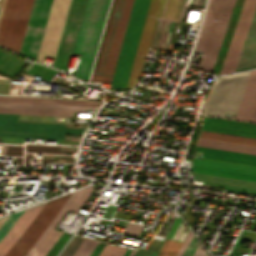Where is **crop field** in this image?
<instances>
[{"instance_id":"crop-field-1","label":"crop field","mask_w":256,"mask_h":256,"mask_svg":"<svg viewBox=\"0 0 256 256\" xmlns=\"http://www.w3.org/2000/svg\"><path fill=\"white\" fill-rule=\"evenodd\" d=\"M179 4L180 0H150L126 88L137 83L149 48L167 50L170 39H163L165 29L169 16L177 15Z\"/></svg>"},{"instance_id":"crop-field-2","label":"crop field","mask_w":256,"mask_h":256,"mask_svg":"<svg viewBox=\"0 0 256 256\" xmlns=\"http://www.w3.org/2000/svg\"><path fill=\"white\" fill-rule=\"evenodd\" d=\"M109 0H88L73 53L82 54L77 76L88 78Z\"/></svg>"},{"instance_id":"crop-field-3","label":"crop field","mask_w":256,"mask_h":256,"mask_svg":"<svg viewBox=\"0 0 256 256\" xmlns=\"http://www.w3.org/2000/svg\"><path fill=\"white\" fill-rule=\"evenodd\" d=\"M248 73L249 71L217 77L210 87L202 113H214L221 117L229 114L234 119Z\"/></svg>"},{"instance_id":"crop-field-4","label":"crop field","mask_w":256,"mask_h":256,"mask_svg":"<svg viewBox=\"0 0 256 256\" xmlns=\"http://www.w3.org/2000/svg\"><path fill=\"white\" fill-rule=\"evenodd\" d=\"M134 0H115L95 73L113 76Z\"/></svg>"},{"instance_id":"crop-field-5","label":"crop field","mask_w":256,"mask_h":256,"mask_svg":"<svg viewBox=\"0 0 256 256\" xmlns=\"http://www.w3.org/2000/svg\"><path fill=\"white\" fill-rule=\"evenodd\" d=\"M149 0H135L111 86L125 88Z\"/></svg>"},{"instance_id":"crop-field-6","label":"crop field","mask_w":256,"mask_h":256,"mask_svg":"<svg viewBox=\"0 0 256 256\" xmlns=\"http://www.w3.org/2000/svg\"><path fill=\"white\" fill-rule=\"evenodd\" d=\"M33 0H7L0 24V45L19 52Z\"/></svg>"},{"instance_id":"crop-field-7","label":"crop field","mask_w":256,"mask_h":256,"mask_svg":"<svg viewBox=\"0 0 256 256\" xmlns=\"http://www.w3.org/2000/svg\"><path fill=\"white\" fill-rule=\"evenodd\" d=\"M17 118L18 115L0 114V136L63 140L64 134H80L83 130L57 124L17 122Z\"/></svg>"},{"instance_id":"crop-field-8","label":"crop field","mask_w":256,"mask_h":256,"mask_svg":"<svg viewBox=\"0 0 256 256\" xmlns=\"http://www.w3.org/2000/svg\"><path fill=\"white\" fill-rule=\"evenodd\" d=\"M69 195L70 194L48 201L20 239L5 256H24L63 206Z\"/></svg>"},{"instance_id":"crop-field-9","label":"crop field","mask_w":256,"mask_h":256,"mask_svg":"<svg viewBox=\"0 0 256 256\" xmlns=\"http://www.w3.org/2000/svg\"><path fill=\"white\" fill-rule=\"evenodd\" d=\"M235 1L221 0L199 68L212 71Z\"/></svg>"},{"instance_id":"crop-field-10","label":"crop field","mask_w":256,"mask_h":256,"mask_svg":"<svg viewBox=\"0 0 256 256\" xmlns=\"http://www.w3.org/2000/svg\"><path fill=\"white\" fill-rule=\"evenodd\" d=\"M52 0H34L20 54L36 58Z\"/></svg>"},{"instance_id":"crop-field-11","label":"crop field","mask_w":256,"mask_h":256,"mask_svg":"<svg viewBox=\"0 0 256 256\" xmlns=\"http://www.w3.org/2000/svg\"><path fill=\"white\" fill-rule=\"evenodd\" d=\"M85 1L86 0L71 1L66 23L54 61V67H58L67 71Z\"/></svg>"},{"instance_id":"crop-field-12","label":"crop field","mask_w":256,"mask_h":256,"mask_svg":"<svg viewBox=\"0 0 256 256\" xmlns=\"http://www.w3.org/2000/svg\"><path fill=\"white\" fill-rule=\"evenodd\" d=\"M69 2L53 0L36 60L43 62L45 55H55Z\"/></svg>"},{"instance_id":"crop-field-13","label":"crop field","mask_w":256,"mask_h":256,"mask_svg":"<svg viewBox=\"0 0 256 256\" xmlns=\"http://www.w3.org/2000/svg\"><path fill=\"white\" fill-rule=\"evenodd\" d=\"M255 6H256V0L244 1L233 37H232L223 67H222L221 74L233 72L246 32L249 27Z\"/></svg>"},{"instance_id":"crop-field-14","label":"crop field","mask_w":256,"mask_h":256,"mask_svg":"<svg viewBox=\"0 0 256 256\" xmlns=\"http://www.w3.org/2000/svg\"><path fill=\"white\" fill-rule=\"evenodd\" d=\"M86 106L26 104L0 102V113L72 116L73 111H85Z\"/></svg>"},{"instance_id":"crop-field-15","label":"crop field","mask_w":256,"mask_h":256,"mask_svg":"<svg viewBox=\"0 0 256 256\" xmlns=\"http://www.w3.org/2000/svg\"><path fill=\"white\" fill-rule=\"evenodd\" d=\"M93 186L84 188L82 190H79L74 197V199L70 202V204L67 206L65 212L66 213L68 209L78 212L84 202L87 200ZM63 215L59 218V220L53 225V227L48 231L46 236L43 238L41 243L38 245V247L34 250V252L30 256H45L47 252L50 250V248L54 245V243L57 241L59 236L62 234V232H58L53 230L54 227L57 225V223L60 221V219L63 217Z\"/></svg>"},{"instance_id":"crop-field-16","label":"crop field","mask_w":256,"mask_h":256,"mask_svg":"<svg viewBox=\"0 0 256 256\" xmlns=\"http://www.w3.org/2000/svg\"><path fill=\"white\" fill-rule=\"evenodd\" d=\"M44 204L34 206L25 210V212L21 215L15 225L10 229V231L0 242V256H4L9 251V249L14 245V243L18 240V238L21 236L27 226L37 215V213L42 209Z\"/></svg>"},{"instance_id":"crop-field-17","label":"crop field","mask_w":256,"mask_h":256,"mask_svg":"<svg viewBox=\"0 0 256 256\" xmlns=\"http://www.w3.org/2000/svg\"><path fill=\"white\" fill-rule=\"evenodd\" d=\"M189 231L181 218H175L156 256H176Z\"/></svg>"},{"instance_id":"crop-field-18","label":"crop field","mask_w":256,"mask_h":256,"mask_svg":"<svg viewBox=\"0 0 256 256\" xmlns=\"http://www.w3.org/2000/svg\"><path fill=\"white\" fill-rule=\"evenodd\" d=\"M235 119L256 122V70L250 73Z\"/></svg>"},{"instance_id":"crop-field-19","label":"crop field","mask_w":256,"mask_h":256,"mask_svg":"<svg viewBox=\"0 0 256 256\" xmlns=\"http://www.w3.org/2000/svg\"><path fill=\"white\" fill-rule=\"evenodd\" d=\"M256 67V9L234 71Z\"/></svg>"},{"instance_id":"crop-field-20","label":"crop field","mask_w":256,"mask_h":256,"mask_svg":"<svg viewBox=\"0 0 256 256\" xmlns=\"http://www.w3.org/2000/svg\"><path fill=\"white\" fill-rule=\"evenodd\" d=\"M205 129L256 136V124L226 120L205 116L203 127Z\"/></svg>"},{"instance_id":"crop-field-21","label":"crop field","mask_w":256,"mask_h":256,"mask_svg":"<svg viewBox=\"0 0 256 256\" xmlns=\"http://www.w3.org/2000/svg\"><path fill=\"white\" fill-rule=\"evenodd\" d=\"M195 150L206 152L205 158L227 163L256 167V156L196 146Z\"/></svg>"},{"instance_id":"crop-field-22","label":"crop field","mask_w":256,"mask_h":256,"mask_svg":"<svg viewBox=\"0 0 256 256\" xmlns=\"http://www.w3.org/2000/svg\"><path fill=\"white\" fill-rule=\"evenodd\" d=\"M194 176V183L226 187L228 190L241 191L246 193L256 194V183L239 181L233 179H226L214 176H207L192 173Z\"/></svg>"},{"instance_id":"crop-field-23","label":"crop field","mask_w":256,"mask_h":256,"mask_svg":"<svg viewBox=\"0 0 256 256\" xmlns=\"http://www.w3.org/2000/svg\"><path fill=\"white\" fill-rule=\"evenodd\" d=\"M243 1L244 0H237L236 1L234 10L232 12V15H231V18H230V21H229V24H228V27H227L222 45H221V48L219 50V53H218V56H217V59H216V62H215V65H214V68H213L212 72L220 73V70H221V67H222V64H223V61H224V58H225V55H226L231 37H232V34H233V31H234V28H235V25H236V22H237V19H238V16H239L242 4H243Z\"/></svg>"},{"instance_id":"crop-field-24","label":"crop field","mask_w":256,"mask_h":256,"mask_svg":"<svg viewBox=\"0 0 256 256\" xmlns=\"http://www.w3.org/2000/svg\"><path fill=\"white\" fill-rule=\"evenodd\" d=\"M0 101L6 102H26V103H46V104H66V105H86L97 106V101H79V100H60V99H41V98H22V97H3Z\"/></svg>"},{"instance_id":"crop-field-25","label":"crop field","mask_w":256,"mask_h":256,"mask_svg":"<svg viewBox=\"0 0 256 256\" xmlns=\"http://www.w3.org/2000/svg\"><path fill=\"white\" fill-rule=\"evenodd\" d=\"M196 145L256 155V147L199 138Z\"/></svg>"},{"instance_id":"crop-field-26","label":"crop field","mask_w":256,"mask_h":256,"mask_svg":"<svg viewBox=\"0 0 256 256\" xmlns=\"http://www.w3.org/2000/svg\"><path fill=\"white\" fill-rule=\"evenodd\" d=\"M192 165L256 175V168L193 158Z\"/></svg>"},{"instance_id":"crop-field-27","label":"crop field","mask_w":256,"mask_h":256,"mask_svg":"<svg viewBox=\"0 0 256 256\" xmlns=\"http://www.w3.org/2000/svg\"><path fill=\"white\" fill-rule=\"evenodd\" d=\"M219 1L220 0H209L203 27H202L201 33L199 35L197 45L195 47L196 50L203 51V48H204L208 33L210 31Z\"/></svg>"},{"instance_id":"crop-field-28","label":"crop field","mask_w":256,"mask_h":256,"mask_svg":"<svg viewBox=\"0 0 256 256\" xmlns=\"http://www.w3.org/2000/svg\"><path fill=\"white\" fill-rule=\"evenodd\" d=\"M199 137L256 146V139L204 131V130H201Z\"/></svg>"},{"instance_id":"crop-field-29","label":"crop field","mask_w":256,"mask_h":256,"mask_svg":"<svg viewBox=\"0 0 256 256\" xmlns=\"http://www.w3.org/2000/svg\"><path fill=\"white\" fill-rule=\"evenodd\" d=\"M192 172L256 182V176L192 166Z\"/></svg>"},{"instance_id":"crop-field-30","label":"crop field","mask_w":256,"mask_h":256,"mask_svg":"<svg viewBox=\"0 0 256 256\" xmlns=\"http://www.w3.org/2000/svg\"><path fill=\"white\" fill-rule=\"evenodd\" d=\"M183 1L184 0H181V4H180V8H179L177 17H170L169 18L168 26H167L165 37H164V38H171L168 50H173L174 39H175V37H179L181 29H182L183 23L178 22V20H179L181 8H182V5H183Z\"/></svg>"},{"instance_id":"crop-field-31","label":"crop field","mask_w":256,"mask_h":256,"mask_svg":"<svg viewBox=\"0 0 256 256\" xmlns=\"http://www.w3.org/2000/svg\"><path fill=\"white\" fill-rule=\"evenodd\" d=\"M76 192L72 193L71 196L68 198L64 206L61 208V210L58 212V214L55 216V218L52 220V222L49 224V226L46 228V230L43 232V234L39 237V239L36 241V243L33 245V247L29 250V252L25 256H29L33 250L37 247V245L40 243L42 238L45 236L47 231L50 229V227L55 223V221L61 216L62 212L68 205V203L72 200L73 196L75 195Z\"/></svg>"},{"instance_id":"crop-field-32","label":"crop field","mask_w":256,"mask_h":256,"mask_svg":"<svg viewBox=\"0 0 256 256\" xmlns=\"http://www.w3.org/2000/svg\"><path fill=\"white\" fill-rule=\"evenodd\" d=\"M96 241L84 238L72 256H86Z\"/></svg>"},{"instance_id":"crop-field-33","label":"crop field","mask_w":256,"mask_h":256,"mask_svg":"<svg viewBox=\"0 0 256 256\" xmlns=\"http://www.w3.org/2000/svg\"><path fill=\"white\" fill-rule=\"evenodd\" d=\"M23 211L17 212L15 214H12L9 216V218L6 220V222L0 228V241L5 236V234L8 232V230L13 226V224L16 222V220L20 217V215L23 213Z\"/></svg>"},{"instance_id":"crop-field-34","label":"crop field","mask_w":256,"mask_h":256,"mask_svg":"<svg viewBox=\"0 0 256 256\" xmlns=\"http://www.w3.org/2000/svg\"><path fill=\"white\" fill-rule=\"evenodd\" d=\"M125 250V248L117 247L114 245L110 247L108 244H105L99 256H122Z\"/></svg>"},{"instance_id":"crop-field-35","label":"crop field","mask_w":256,"mask_h":256,"mask_svg":"<svg viewBox=\"0 0 256 256\" xmlns=\"http://www.w3.org/2000/svg\"><path fill=\"white\" fill-rule=\"evenodd\" d=\"M204 1L205 0H185L179 21H181V22L184 21L185 14H186L188 6L203 8Z\"/></svg>"},{"instance_id":"crop-field-36","label":"crop field","mask_w":256,"mask_h":256,"mask_svg":"<svg viewBox=\"0 0 256 256\" xmlns=\"http://www.w3.org/2000/svg\"><path fill=\"white\" fill-rule=\"evenodd\" d=\"M70 235L63 233L52 249L48 252L46 256H55L64 243L69 239Z\"/></svg>"},{"instance_id":"crop-field-37","label":"crop field","mask_w":256,"mask_h":256,"mask_svg":"<svg viewBox=\"0 0 256 256\" xmlns=\"http://www.w3.org/2000/svg\"><path fill=\"white\" fill-rule=\"evenodd\" d=\"M198 243L199 242L195 239V237L193 235L188 247L186 248V250H185V252L183 253L182 256H192V254L195 251Z\"/></svg>"},{"instance_id":"crop-field-38","label":"crop field","mask_w":256,"mask_h":256,"mask_svg":"<svg viewBox=\"0 0 256 256\" xmlns=\"http://www.w3.org/2000/svg\"><path fill=\"white\" fill-rule=\"evenodd\" d=\"M192 235H193V234H192V232L190 231L188 237L186 238V240H185L183 246L181 247L179 253L177 254V256H181V255H182V253H183L184 249L186 248L188 242L190 241Z\"/></svg>"},{"instance_id":"crop-field-39","label":"crop field","mask_w":256,"mask_h":256,"mask_svg":"<svg viewBox=\"0 0 256 256\" xmlns=\"http://www.w3.org/2000/svg\"><path fill=\"white\" fill-rule=\"evenodd\" d=\"M203 254L204 253L202 252V250L200 248V245H198V247H197L196 251L194 252L193 256H203Z\"/></svg>"},{"instance_id":"crop-field-40","label":"crop field","mask_w":256,"mask_h":256,"mask_svg":"<svg viewBox=\"0 0 256 256\" xmlns=\"http://www.w3.org/2000/svg\"><path fill=\"white\" fill-rule=\"evenodd\" d=\"M188 25H189V24H187V23L184 24V27H183L181 33H186V32H187Z\"/></svg>"},{"instance_id":"crop-field-41","label":"crop field","mask_w":256,"mask_h":256,"mask_svg":"<svg viewBox=\"0 0 256 256\" xmlns=\"http://www.w3.org/2000/svg\"><path fill=\"white\" fill-rule=\"evenodd\" d=\"M8 218V216L7 217H4V218H2V219H0V227L2 226V224L5 222V220Z\"/></svg>"},{"instance_id":"crop-field-42","label":"crop field","mask_w":256,"mask_h":256,"mask_svg":"<svg viewBox=\"0 0 256 256\" xmlns=\"http://www.w3.org/2000/svg\"><path fill=\"white\" fill-rule=\"evenodd\" d=\"M130 252H131V250H130V249H127V250L125 251V253H124L123 256H128Z\"/></svg>"},{"instance_id":"crop-field-43","label":"crop field","mask_w":256,"mask_h":256,"mask_svg":"<svg viewBox=\"0 0 256 256\" xmlns=\"http://www.w3.org/2000/svg\"><path fill=\"white\" fill-rule=\"evenodd\" d=\"M134 253H135V251H134V250H132V252H131V254H130L129 256H133V255H134Z\"/></svg>"},{"instance_id":"crop-field-44","label":"crop field","mask_w":256,"mask_h":256,"mask_svg":"<svg viewBox=\"0 0 256 256\" xmlns=\"http://www.w3.org/2000/svg\"><path fill=\"white\" fill-rule=\"evenodd\" d=\"M205 256V255H204Z\"/></svg>"}]
</instances>
